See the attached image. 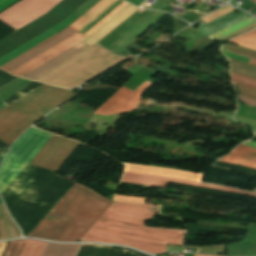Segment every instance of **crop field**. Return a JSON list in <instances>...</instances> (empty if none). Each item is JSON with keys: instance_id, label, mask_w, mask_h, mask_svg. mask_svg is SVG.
I'll use <instances>...</instances> for the list:
<instances>
[{"instance_id": "obj_12", "label": "crop field", "mask_w": 256, "mask_h": 256, "mask_svg": "<svg viewBox=\"0 0 256 256\" xmlns=\"http://www.w3.org/2000/svg\"><path fill=\"white\" fill-rule=\"evenodd\" d=\"M230 42L256 50V29L244 33L232 39ZM221 50L256 60V51L249 50L243 47L227 43L221 48Z\"/></svg>"}, {"instance_id": "obj_25", "label": "crop field", "mask_w": 256, "mask_h": 256, "mask_svg": "<svg viewBox=\"0 0 256 256\" xmlns=\"http://www.w3.org/2000/svg\"><path fill=\"white\" fill-rule=\"evenodd\" d=\"M242 145L250 146L256 148V142L250 141L249 143L243 142Z\"/></svg>"}, {"instance_id": "obj_8", "label": "crop field", "mask_w": 256, "mask_h": 256, "mask_svg": "<svg viewBox=\"0 0 256 256\" xmlns=\"http://www.w3.org/2000/svg\"><path fill=\"white\" fill-rule=\"evenodd\" d=\"M61 0H23L0 14V20L19 29L47 13Z\"/></svg>"}, {"instance_id": "obj_22", "label": "crop field", "mask_w": 256, "mask_h": 256, "mask_svg": "<svg viewBox=\"0 0 256 256\" xmlns=\"http://www.w3.org/2000/svg\"><path fill=\"white\" fill-rule=\"evenodd\" d=\"M115 201H123V202H137V203H144L146 199L143 198H136L130 196H121L116 195L114 198Z\"/></svg>"}, {"instance_id": "obj_2", "label": "crop field", "mask_w": 256, "mask_h": 256, "mask_svg": "<svg viewBox=\"0 0 256 256\" xmlns=\"http://www.w3.org/2000/svg\"><path fill=\"white\" fill-rule=\"evenodd\" d=\"M111 203L76 183L29 237L78 241Z\"/></svg>"}, {"instance_id": "obj_29", "label": "crop field", "mask_w": 256, "mask_h": 256, "mask_svg": "<svg viewBox=\"0 0 256 256\" xmlns=\"http://www.w3.org/2000/svg\"><path fill=\"white\" fill-rule=\"evenodd\" d=\"M249 63H252V64L256 65V61H254V60H250Z\"/></svg>"}, {"instance_id": "obj_24", "label": "crop field", "mask_w": 256, "mask_h": 256, "mask_svg": "<svg viewBox=\"0 0 256 256\" xmlns=\"http://www.w3.org/2000/svg\"><path fill=\"white\" fill-rule=\"evenodd\" d=\"M18 0H0V11Z\"/></svg>"}, {"instance_id": "obj_10", "label": "crop field", "mask_w": 256, "mask_h": 256, "mask_svg": "<svg viewBox=\"0 0 256 256\" xmlns=\"http://www.w3.org/2000/svg\"><path fill=\"white\" fill-rule=\"evenodd\" d=\"M153 84L144 81L139 85L135 92L124 87L120 88L111 96L94 114L114 115L120 113L126 114L137 110L142 94Z\"/></svg>"}, {"instance_id": "obj_23", "label": "crop field", "mask_w": 256, "mask_h": 256, "mask_svg": "<svg viewBox=\"0 0 256 256\" xmlns=\"http://www.w3.org/2000/svg\"><path fill=\"white\" fill-rule=\"evenodd\" d=\"M238 99H240L242 102L248 104V105H252L256 107V100L241 96V95H237Z\"/></svg>"}, {"instance_id": "obj_7", "label": "crop field", "mask_w": 256, "mask_h": 256, "mask_svg": "<svg viewBox=\"0 0 256 256\" xmlns=\"http://www.w3.org/2000/svg\"><path fill=\"white\" fill-rule=\"evenodd\" d=\"M114 1L115 0L99 1L90 10H88L84 15H82L73 24H71L70 27L79 31L86 24H88L92 19H94L97 15H99L103 10H105L109 5H111ZM76 32L77 31L68 27V28L64 29L63 31L59 32L58 34L54 35L53 37L42 42L41 44L37 45L36 47L32 48L31 50L27 51L26 53L22 54L21 56L15 58L14 60L5 64L1 68L10 72V71L14 70L15 68L19 67L20 65L24 64L25 62L36 57L37 55L41 54L42 52L46 51L47 49L51 48L52 46L56 45L57 43L63 41L64 39L68 38L69 36L73 35Z\"/></svg>"}, {"instance_id": "obj_28", "label": "crop field", "mask_w": 256, "mask_h": 256, "mask_svg": "<svg viewBox=\"0 0 256 256\" xmlns=\"http://www.w3.org/2000/svg\"><path fill=\"white\" fill-rule=\"evenodd\" d=\"M82 245H97V244H82ZM98 246H106V245H98Z\"/></svg>"}, {"instance_id": "obj_27", "label": "crop field", "mask_w": 256, "mask_h": 256, "mask_svg": "<svg viewBox=\"0 0 256 256\" xmlns=\"http://www.w3.org/2000/svg\"><path fill=\"white\" fill-rule=\"evenodd\" d=\"M7 104L3 103L0 101V109L3 108L4 106H6Z\"/></svg>"}, {"instance_id": "obj_9", "label": "crop field", "mask_w": 256, "mask_h": 256, "mask_svg": "<svg viewBox=\"0 0 256 256\" xmlns=\"http://www.w3.org/2000/svg\"><path fill=\"white\" fill-rule=\"evenodd\" d=\"M78 144L77 142L52 135L30 164L56 172Z\"/></svg>"}, {"instance_id": "obj_4", "label": "crop field", "mask_w": 256, "mask_h": 256, "mask_svg": "<svg viewBox=\"0 0 256 256\" xmlns=\"http://www.w3.org/2000/svg\"><path fill=\"white\" fill-rule=\"evenodd\" d=\"M75 95L72 91L44 84L23 96L0 110V140L11 145L43 115Z\"/></svg>"}, {"instance_id": "obj_16", "label": "crop field", "mask_w": 256, "mask_h": 256, "mask_svg": "<svg viewBox=\"0 0 256 256\" xmlns=\"http://www.w3.org/2000/svg\"><path fill=\"white\" fill-rule=\"evenodd\" d=\"M228 155L252 160L256 162V149L239 145L232 150Z\"/></svg>"}, {"instance_id": "obj_21", "label": "crop field", "mask_w": 256, "mask_h": 256, "mask_svg": "<svg viewBox=\"0 0 256 256\" xmlns=\"http://www.w3.org/2000/svg\"><path fill=\"white\" fill-rule=\"evenodd\" d=\"M231 78H232L233 82H237V83H240V84H244V85L256 88V80L249 79V78L239 76V75H236V74H232V73H231Z\"/></svg>"}, {"instance_id": "obj_19", "label": "crop field", "mask_w": 256, "mask_h": 256, "mask_svg": "<svg viewBox=\"0 0 256 256\" xmlns=\"http://www.w3.org/2000/svg\"><path fill=\"white\" fill-rule=\"evenodd\" d=\"M233 10H235V9L230 7V6L225 5L224 7L220 8L219 10H217V11L211 13V14L206 15L201 20L209 23V22H211V21H213V20H215V19H217V18H219V17H221V16H223V15H225V14H227V13L233 11Z\"/></svg>"}, {"instance_id": "obj_11", "label": "crop field", "mask_w": 256, "mask_h": 256, "mask_svg": "<svg viewBox=\"0 0 256 256\" xmlns=\"http://www.w3.org/2000/svg\"><path fill=\"white\" fill-rule=\"evenodd\" d=\"M47 243L38 240L10 241L3 256H41Z\"/></svg>"}, {"instance_id": "obj_15", "label": "crop field", "mask_w": 256, "mask_h": 256, "mask_svg": "<svg viewBox=\"0 0 256 256\" xmlns=\"http://www.w3.org/2000/svg\"><path fill=\"white\" fill-rule=\"evenodd\" d=\"M228 59L230 61V70L232 73L256 79V66L249 65L245 62H241L231 58Z\"/></svg>"}, {"instance_id": "obj_26", "label": "crop field", "mask_w": 256, "mask_h": 256, "mask_svg": "<svg viewBox=\"0 0 256 256\" xmlns=\"http://www.w3.org/2000/svg\"><path fill=\"white\" fill-rule=\"evenodd\" d=\"M7 242H3V243H0V256L5 248V245H6Z\"/></svg>"}, {"instance_id": "obj_13", "label": "crop field", "mask_w": 256, "mask_h": 256, "mask_svg": "<svg viewBox=\"0 0 256 256\" xmlns=\"http://www.w3.org/2000/svg\"><path fill=\"white\" fill-rule=\"evenodd\" d=\"M52 30H47L44 33L40 34L39 36L33 38L32 40L28 41L27 43L23 44L22 46L18 47L17 49L13 50L12 52L8 53L7 55L0 58V66L4 65L5 63L9 62L10 60L14 59L15 57L19 56L20 54L24 53L25 51L31 49L32 47L36 46L37 44L41 43L42 41L46 40L47 38L54 35Z\"/></svg>"}, {"instance_id": "obj_6", "label": "crop field", "mask_w": 256, "mask_h": 256, "mask_svg": "<svg viewBox=\"0 0 256 256\" xmlns=\"http://www.w3.org/2000/svg\"><path fill=\"white\" fill-rule=\"evenodd\" d=\"M124 172L165 177V178H173V179H181V180H188V181H196V182H199L202 177L201 175H197V174L169 171V170L142 167V166H132V165H126ZM127 173L123 174V178L121 182L161 187V188H165L168 182H175V183H183V184L207 187V188H212V189L221 190V191L242 193L245 195L256 197L255 193L226 188V187L217 186V185L165 179V178H158V177H150V176H142V175H135V174H127Z\"/></svg>"}, {"instance_id": "obj_14", "label": "crop field", "mask_w": 256, "mask_h": 256, "mask_svg": "<svg viewBox=\"0 0 256 256\" xmlns=\"http://www.w3.org/2000/svg\"><path fill=\"white\" fill-rule=\"evenodd\" d=\"M80 244L49 243L43 256H75Z\"/></svg>"}, {"instance_id": "obj_20", "label": "crop field", "mask_w": 256, "mask_h": 256, "mask_svg": "<svg viewBox=\"0 0 256 256\" xmlns=\"http://www.w3.org/2000/svg\"><path fill=\"white\" fill-rule=\"evenodd\" d=\"M233 85L236 89V93L256 99V89L251 88V87H247V86H244V85H240V84H237V83H233Z\"/></svg>"}, {"instance_id": "obj_17", "label": "crop field", "mask_w": 256, "mask_h": 256, "mask_svg": "<svg viewBox=\"0 0 256 256\" xmlns=\"http://www.w3.org/2000/svg\"><path fill=\"white\" fill-rule=\"evenodd\" d=\"M252 22H254V19L252 17H250V18H248V19H246V20H244V21H242V22H240L238 24H235V25H233V26H231V27H229V28H227V29H225L223 31H220V32H218V33H216V34H214V35H212L210 37H208V36L207 37L212 39V40H215V39H217V38H219V37H221L223 35H226V34L232 32V31H235V30H237V29H239V28H241L243 26H246V25L252 23Z\"/></svg>"}, {"instance_id": "obj_3", "label": "crop field", "mask_w": 256, "mask_h": 256, "mask_svg": "<svg viewBox=\"0 0 256 256\" xmlns=\"http://www.w3.org/2000/svg\"><path fill=\"white\" fill-rule=\"evenodd\" d=\"M136 10L137 8L122 1L109 13L102 17L98 22H96L92 27H90L86 32L83 33L88 37L78 32L10 73L17 76L25 74L86 37L87 38L82 42L90 47L100 41L104 36H106L110 31H112L116 26H118ZM83 43L80 42L76 44L75 46L21 77L32 80L38 78L39 76L62 64L78 53L89 48Z\"/></svg>"}, {"instance_id": "obj_30", "label": "crop field", "mask_w": 256, "mask_h": 256, "mask_svg": "<svg viewBox=\"0 0 256 256\" xmlns=\"http://www.w3.org/2000/svg\"><path fill=\"white\" fill-rule=\"evenodd\" d=\"M256 191V190H255Z\"/></svg>"}, {"instance_id": "obj_5", "label": "crop field", "mask_w": 256, "mask_h": 256, "mask_svg": "<svg viewBox=\"0 0 256 256\" xmlns=\"http://www.w3.org/2000/svg\"><path fill=\"white\" fill-rule=\"evenodd\" d=\"M51 134L30 127L11 147L0 169V195L29 164Z\"/></svg>"}, {"instance_id": "obj_18", "label": "crop field", "mask_w": 256, "mask_h": 256, "mask_svg": "<svg viewBox=\"0 0 256 256\" xmlns=\"http://www.w3.org/2000/svg\"><path fill=\"white\" fill-rule=\"evenodd\" d=\"M219 161L220 162L237 164V165H241V166H245V167L256 169V163L255 162L244 160V159H240V158H236V157H232V156H228V155H226L225 157H223Z\"/></svg>"}, {"instance_id": "obj_1", "label": "crop field", "mask_w": 256, "mask_h": 256, "mask_svg": "<svg viewBox=\"0 0 256 256\" xmlns=\"http://www.w3.org/2000/svg\"><path fill=\"white\" fill-rule=\"evenodd\" d=\"M158 209L113 202L79 241L122 244L150 254L165 253L167 244L183 246L185 230L145 227Z\"/></svg>"}]
</instances>
